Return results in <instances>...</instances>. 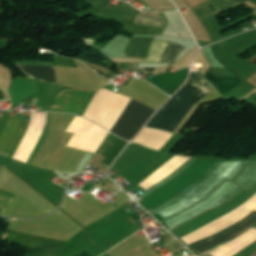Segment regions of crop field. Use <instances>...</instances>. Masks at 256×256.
Returning a JSON list of instances; mask_svg holds the SVG:
<instances>
[{
  "label": "crop field",
  "instance_id": "3316defc",
  "mask_svg": "<svg viewBox=\"0 0 256 256\" xmlns=\"http://www.w3.org/2000/svg\"><path fill=\"white\" fill-rule=\"evenodd\" d=\"M126 145V141L110 133L96 154L106 156L102 164L110 166Z\"/></svg>",
  "mask_w": 256,
  "mask_h": 256
},
{
  "label": "crop field",
  "instance_id": "5a996713",
  "mask_svg": "<svg viewBox=\"0 0 256 256\" xmlns=\"http://www.w3.org/2000/svg\"><path fill=\"white\" fill-rule=\"evenodd\" d=\"M166 44H167V42H165V41H160V40L154 39L151 51L148 55V58L142 62L143 63H157ZM174 46H175L174 43L168 42L158 63H166V59ZM183 48L184 47L182 45L176 44V46L173 48L167 62H173L175 60V58L178 56V54L182 51Z\"/></svg>",
  "mask_w": 256,
  "mask_h": 256
},
{
  "label": "crop field",
  "instance_id": "dafd665d",
  "mask_svg": "<svg viewBox=\"0 0 256 256\" xmlns=\"http://www.w3.org/2000/svg\"><path fill=\"white\" fill-rule=\"evenodd\" d=\"M233 1H236V2H241V3H243V2H246V1H248V0H233Z\"/></svg>",
  "mask_w": 256,
  "mask_h": 256
},
{
  "label": "crop field",
  "instance_id": "5142ce71",
  "mask_svg": "<svg viewBox=\"0 0 256 256\" xmlns=\"http://www.w3.org/2000/svg\"><path fill=\"white\" fill-rule=\"evenodd\" d=\"M135 24L163 27L165 24V20L163 18H159V17H153V16L139 14L137 19L135 20Z\"/></svg>",
  "mask_w": 256,
  "mask_h": 256
},
{
  "label": "crop field",
  "instance_id": "ac0d7876",
  "mask_svg": "<svg viewBox=\"0 0 256 256\" xmlns=\"http://www.w3.org/2000/svg\"><path fill=\"white\" fill-rule=\"evenodd\" d=\"M213 88L195 72L191 73L188 83L156 113L146 126L173 133L191 107Z\"/></svg>",
  "mask_w": 256,
  "mask_h": 256
},
{
  "label": "crop field",
  "instance_id": "d8731c3e",
  "mask_svg": "<svg viewBox=\"0 0 256 256\" xmlns=\"http://www.w3.org/2000/svg\"><path fill=\"white\" fill-rule=\"evenodd\" d=\"M20 119L8 118L6 127L0 136V154L12 157L25 129L19 126Z\"/></svg>",
  "mask_w": 256,
  "mask_h": 256
},
{
  "label": "crop field",
  "instance_id": "22f410ed",
  "mask_svg": "<svg viewBox=\"0 0 256 256\" xmlns=\"http://www.w3.org/2000/svg\"><path fill=\"white\" fill-rule=\"evenodd\" d=\"M232 182L250 189L256 182V161H250Z\"/></svg>",
  "mask_w": 256,
  "mask_h": 256
},
{
  "label": "crop field",
  "instance_id": "28ad6ade",
  "mask_svg": "<svg viewBox=\"0 0 256 256\" xmlns=\"http://www.w3.org/2000/svg\"><path fill=\"white\" fill-rule=\"evenodd\" d=\"M153 38L132 36L124 50L123 57L145 58Z\"/></svg>",
  "mask_w": 256,
  "mask_h": 256
},
{
  "label": "crop field",
  "instance_id": "cbeb9de0",
  "mask_svg": "<svg viewBox=\"0 0 256 256\" xmlns=\"http://www.w3.org/2000/svg\"><path fill=\"white\" fill-rule=\"evenodd\" d=\"M136 12L134 10H128V9H121V8H115V7H110L106 8L99 13L103 14H108V15H113V16H118V17H123V18H128V19H135Z\"/></svg>",
  "mask_w": 256,
  "mask_h": 256
},
{
  "label": "crop field",
  "instance_id": "733c2abd",
  "mask_svg": "<svg viewBox=\"0 0 256 256\" xmlns=\"http://www.w3.org/2000/svg\"><path fill=\"white\" fill-rule=\"evenodd\" d=\"M2 193L3 191L0 190V196L2 195ZM13 198L14 195L4 192V194L0 198V213H3V211L6 209V207Z\"/></svg>",
  "mask_w": 256,
  "mask_h": 256
},
{
  "label": "crop field",
  "instance_id": "4a817a6b",
  "mask_svg": "<svg viewBox=\"0 0 256 256\" xmlns=\"http://www.w3.org/2000/svg\"><path fill=\"white\" fill-rule=\"evenodd\" d=\"M203 53L205 54L207 60L209 61L211 67L216 68H224L222 65H220L214 58L213 54L210 51V46L207 48L202 49Z\"/></svg>",
  "mask_w": 256,
  "mask_h": 256
},
{
  "label": "crop field",
  "instance_id": "34b2d1b8",
  "mask_svg": "<svg viewBox=\"0 0 256 256\" xmlns=\"http://www.w3.org/2000/svg\"><path fill=\"white\" fill-rule=\"evenodd\" d=\"M242 188L232 184L229 181L223 182L218 188H216L209 196L203 199L200 203L196 204L192 208L164 221V223L170 228L176 227L195 216L207 211L210 208L217 207L225 201L233 198L241 191Z\"/></svg>",
  "mask_w": 256,
  "mask_h": 256
},
{
  "label": "crop field",
  "instance_id": "92a150f3",
  "mask_svg": "<svg viewBox=\"0 0 256 256\" xmlns=\"http://www.w3.org/2000/svg\"><path fill=\"white\" fill-rule=\"evenodd\" d=\"M249 60H251L252 62H254L256 64V56L251 58V59H249Z\"/></svg>",
  "mask_w": 256,
  "mask_h": 256
},
{
  "label": "crop field",
  "instance_id": "d1516ede",
  "mask_svg": "<svg viewBox=\"0 0 256 256\" xmlns=\"http://www.w3.org/2000/svg\"><path fill=\"white\" fill-rule=\"evenodd\" d=\"M28 76L56 83L53 67L48 66H19ZM57 84V83H56Z\"/></svg>",
  "mask_w": 256,
  "mask_h": 256
},
{
  "label": "crop field",
  "instance_id": "214f88e0",
  "mask_svg": "<svg viewBox=\"0 0 256 256\" xmlns=\"http://www.w3.org/2000/svg\"><path fill=\"white\" fill-rule=\"evenodd\" d=\"M255 248H256V242H254L253 244H251L248 247L244 248L243 250H241L240 252L236 253L233 256H244L247 253H249L250 251L254 250Z\"/></svg>",
  "mask_w": 256,
  "mask_h": 256
},
{
  "label": "crop field",
  "instance_id": "e52e79f7",
  "mask_svg": "<svg viewBox=\"0 0 256 256\" xmlns=\"http://www.w3.org/2000/svg\"><path fill=\"white\" fill-rule=\"evenodd\" d=\"M254 224H256V212H254L253 214H251L249 217H247L243 221L239 222L238 224H236V225H234V226H232V227H230V228H228L210 238L201 240V241L191 245V247L194 248L201 255L204 251L208 250L212 246L237 236L238 234H240L241 232L248 229L249 227H251Z\"/></svg>",
  "mask_w": 256,
  "mask_h": 256
},
{
  "label": "crop field",
  "instance_id": "00972430",
  "mask_svg": "<svg viewBox=\"0 0 256 256\" xmlns=\"http://www.w3.org/2000/svg\"><path fill=\"white\" fill-rule=\"evenodd\" d=\"M250 2H252V3L256 4V0H250Z\"/></svg>",
  "mask_w": 256,
  "mask_h": 256
},
{
  "label": "crop field",
  "instance_id": "d9b57169",
  "mask_svg": "<svg viewBox=\"0 0 256 256\" xmlns=\"http://www.w3.org/2000/svg\"><path fill=\"white\" fill-rule=\"evenodd\" d=\"M196 159L191 158L189 161H187L184 165H182L179 169H177L175 172H173L171 175H169L167 178H165L164 180H162L161 182L157 183L156 185H154L153 187H151L150 189L146 190L145 192H143L146 196L149 195L150 193H152L153 191H155L156 189H158L160 186H162L163 184H165L166 182H168L169 180H171L172 178H174L175 176H177L178 174H180L182 171H184L190 164H192Z\"/></svg>",
  "mask_w": 256,
  "mask_h": 256
},
{
  "label": "crop field",
  "instance_id": "412701ff",
  "mask_svg": "<svg viewBox=\"0 0 256 256\" xmlns=\"http://www.w3.org/2000/svg\"><path fill=\"white\" fill-rule=\"evenodd\" d=\"M66 132L75 133L68 146L95 153L108 131L79 117H75Z\"/></svg>",
  "mask_w": 256,
  "mask_h": 256
},
{
  "label": "crop field",
  "instance_id": "8a807250",
  "mask_svg": "<svg viewBox=\"0 0 256 256\" xmlns=\"http://www.w3.org/2000/svg\"><path fill=\"white\" fill-rule=\"evenodd\" d=\"M244 161H223L215 163L202 177H200L197 181L191 184L189 187L184 189L175 197L171 198L167 202L163 203L156 209L150 211L153 215L157 212L171 206L175 202L182 199L186 196L189 192L195 189L198 185H200L209 175H211L222 163V165L210 176L208 177L200 186H198L195 190L189 193L186 197L182 200L177 202L176 204L172 205L168 209L158 213L160 216L166 220L167 218L176 215L183 210L187 209L188 207L192 206L193 204L199 202L204 197H206L210 192H212L217 186H219L226 178H231V176L239 169V167L245 163ZM248 160L246 161V163ZM241 166V168L233 175L230 181L238 174V172L246 165Z\"/></svg>",
  "mask_w": 256,
  "mask_h": 256
},
{
  "label": "crop field",
  "instance_id": "f4fd0767",
  "mask_svg": "<svg viewBox=\"0 0 256 256\" xmlns=\"http://www.w3.org/2000/svg\"><path fill=\"white\" fill-rule=\"evenodd\" d=\"M154 112L155 110L132 99L111 132L131 140Z\"/></svg>",
  "mask_w": 256,
  "mask_h": 256
},
{
  "label": "crop field",
  "instance_id": "a9b5d70f",
  "mask_svg": "<svg viewBox=\"0 0 256 256\" xmlns=\"http://www.w3.org/2000/svg\"><path fill=\"white\" fill-rule=\"evenodd\" d=\"M251 256H256V252L254 254H252Z\"/></svg>",
  "mask_w": 256,
  "mask_h": 256
},
{
  "label": "crop field",
  "instance_id": "dd49c442",
  "mask_svg": "<svg viewBox=\"0 0 256 256\" xmlns=\"http://www.w3.org/2000/svg\"><path fill=\"white\" fill-rule=\"evenodd\" d=\"M93 95V92L62 90L56 95L50 111L69 112L82 116Z\"/></svg>",
  "mask_w": 256,
  "mask_h": 256
},
{
  "label": "crop field",
  "instance_id": "bc2a9ffb",
  "mask_svg": "<svg viewBox=\"0 0 256 256\" xmlns=\"http://www.w3.org/2000/svg\"><path fill=\"white\" fill-rule=\"evenodd\" d=\"M91 6L97 7V8H105L107 7L110 0H86Z\"/></svg>",
  "mask_w": 256,
  "mask_h": 256
}]
</instances>
